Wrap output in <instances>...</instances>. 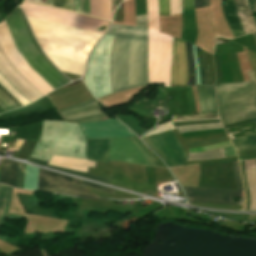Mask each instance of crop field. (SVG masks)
Masks as SVG:
<instances>
[{
    "label": "crop field",
    "mask_w": 256,
    "mask_h": 256,
    "mask_svg": "<svg viewBox=\"0 0 256 256\" xmlns=\"http://www.w3.org/2000/svg\"><path fill=\"white\" fill-rule=\"evenodd\" d=\"M251 11L256 12V0H247Z\"/></svg>",
    "instance_id": "obj_40"
},
{
    "label": "crop field",
    "mask_w": 256,
    "mask_h": 256,
    "mask_svg": "<svg viewBox=\"0 0 256 256\" xmlns=\"http://www.w3.org/2000/svg\"><path fill=\"white\" fill-rule=\"evenodd\" d=\"M222 127L221 123H212V124H198V125H188V126H179L177 127L180 132L201 130V129H210V128H219Z\"/></svg>",
    "instance_id": "obj_24"
},
{
    "label": "crop field",
    "mask_w": 256,
    "mask_h": 256,
    "mask_svg": "<svg viewBox=\"0 0 256 256\" xmlns=\"http://www.w3.org/2000/svg\"><path fill=\"white\" fill-rule=\"evenodd\" d=\"M237 151L256 149V132L239 138L232 139Z\"/></svg>",
    "instance_id": "obj_17"
},
{
    "label": "crop field",
    "mask_w": 256,
    "mask_h": 256,
    "mask_svg": "<svg viewBox=\"0 0 256 256\" xmlns=\"http://www.w3.org/2000/svg\"><path fill=\"white\" fill-rule=\"evenodd\" d=\"M86 138H119L135 136L114 119L80 124ZM108 160H123L149 165L146 158L130 138L110 139Z\"/></svg>",
    "instance_id": "obj_3"
},
{
    "label": "crop field",
    "mask_w": 256,
    "mask_h": 256,
    "mask_svg": "<svg viewBox=\"0 0 256 256\" xmlns=\"http://www.w3.org/2000/svg\"><path fill=\"white\" fill-rule=\"evenodd\" d=\"M197 52H198L199 64H200V80H201V84H205V73H204L202 53H201V50L198 48H197Z\"/></svg>",
    "instance_id": "obj_34"
},
{
    "label": "crop field",
    "mask_w": 256,
    "mask_h": 256,
    "mask_svg": "<svg viewBox=\"0 0 256 256\" xmlns=\"http://www.w3.org/2000/svg\"><path fill=\"white\" fill-rule=\"evenodd\" d=\"M24 165L18 163L16 187L22 189Z\"/></svg>",
    "instance_id": "obj_33"
},
{
    "label": "crop field",
    "mask_w": 256,
    "mask_h": 256,
    "mask_svg": "<svg viewBox=\"0 0 256 256\" xmlns=\"http://www.w3.org/2000/svg\"><path fill=\"white\" fill-rule=\"evenodd\" d=\"M253 120H254V122L256 123V118H254ZM255 125H256V124H255Z\"/></svg>",
    "instance_id": "obj_45"
},
{
    "label": "crop field",
    "mask_w": 256,
    "mask_h": 256,
    "mask_svg": "<svg viewBox=\"0 0 256 256\" xmlns=\"http://www.w3.org/2000/svg\"><path fill=\"white\" fill-rule=\"evenodd\" d=\"M110 30L148 34L147 14L136 16V27L112 24Z\"/></svg>",
    "instance_id": "obj_15"
},
{
    "label": "crop field",
    "mask_w": 256,
    "mask_h": 256,
    "mask_svg": "<svg viewBox=\"0 0 256 256\" xmlns=\"http://www.w3.org/2000/svg\"><path fill=\"white\" fill-rule=\"evenodd\" d=\"M29 161L34 162V163H37V164H39V165H43V166H46V165H47V162H43V161H40V160L31 158V157L29 158Z\"/></svg>",
    "instance_id": "obj_41"
},
{
    "label": "crop field",
    "mask_w": 256,
    "mask_h": 256,
    "mask_svg": "<svg viewBox=\"0 0 256 256\" xmlns=\"http://www.w3.org/2000/svg\"><path fill=\"white\" fill-rule=\"evenodd\" d=\"M235 179L238 190L205 187H183L189 202H205L219 204H243V190L237 161H233ZM232 197H239V202H232Z\"/></svg>",
    "instance_id": "obj_7"
},
{
    "label": "crop field",
    "mask_w": 256,
    "mask_h": 256,
    "mask_svg": "<svg viewBox=\"0 0 256 256\" xmlns=\"http://www.w3.org/2000/svg\"><path fill=\"white\" fill-rule=\"evenodd\" d=\"M92 15L110 20V0H91Z\"/></svg>",
    "instance_id": "obj_16"
},
{
    "label": "crop field",
    "mask_w": 256,
    "mask_h": 256,
    "mask_svg": "<svg viewBox=\"0 0 256 256\" xmlns=\"http://www.w3.org/2000/svg\"><path fill=\"white\" fill-rule=\"evenodd\" d=\"M82 185L93 187L111 195L115 192V189L76 180L39 168L37 190L82 197H98Z\"/></svg>",
    "instance_id": "obj_6"
},
{
    "label": "crop field",
    "mask_w": 256,
    "mask_h": 256,
    "mask_svg": "<svg viewBox=\"0 0 256 256\" xmlns=\"http://www.w3.org/2000/svg\"><path fill=\"white\" fill-rule=\"evenodd\" d=\"M194 8V0H184L183 10Z\"/></svg>",
    "instance_id": "obj_38"
},
{
    "label": "crop field",
    "mask_w": 256,
    "mask_h": 256,
    "mask_svg": "<svg viewBox=\"0 0 256 256\" xmlns=\"http://www.w3.org/2000/svg\"><path fill=\"white\" fill-rule=\"evenodd\" d=\"M53 6L73 11L72 0H53Z\"/></svg>",
    "instance_id": "obj_29"
},
{
    "label": "crop field",
    "mask_w": 256,
    "mask_h": 256,
    "mask_svg": "<svg viewBox=\"0 0 256 256\" xmlns=\"http://www.w3.org/2000/svg\"><path fill=\"white\" fill-rule=\"evenodd\" d=\"M191 44V43H190ZM186 43L187 63H188V86L195 85L194 58L191 45Z\"/></svg>",
    "instance_id": "obj_20"
},
{
    "label": "crop field",
    "mask_w": 256,
    "mask_h": 256,
    "mask_svg": "<svg viewBox=\"0 0 256 256\" xmlns=\"http://www.w3.org/2000/svg\"><path fill=\"white\" fill-rule=\"evenodd\" d=\"M169 129H173V126L170 124V122H168L166 124L159 125L156 130H154L153 132L149 133L148 135L157 134V133H160L162 131L169 130Z\"/></svg>",
    "instance_id": "obj_36"
},
{
    "label": "crop field",
    "mask_w": 256,
    "mask_h": 256,
    "mask_svg": "<svg viewBox=\"0 0 256 256\" xmlns=\"http://www.w3.org/2000/svg\"><path fill=\"white\" fill-rule=\"evenodd\" d=\"M222 7L234 37L244 35L245 33L237 14L234 0H222Z\"/></svg>",
    "instance_id": "obj_11"
},
{
    "label": "crop field",
    "mask_w": 256,
    "mask_h": 256,
    "mask_svg": "<svg viewBox=\"0 0 256 256\" xmlns=\"http://www.w3.org/2000/svg\"><path fill=\"white\" fill-rule=\"evenodd\" d=\"M238 14L240 16L245 33H251L256 30L251 15L248 11L245 0H235Z\"/></svg>",
    "instance_id": "obj_14"
},
{
    "label": "crop field",
    "mask_w": 256,
    "mask_h": 256,
    "mask_svg": "<svg viewBox=\"0 0 256 256\" xmlns=\"http://www.w3.org/2000/svg\"><path fill=\"white\" fill-rule=\"evenodd\" d=\"M131 139L137 145V147L141 150L144 156L147 158L150 165L160 166L159 163L156 161V159L153 157V155L150 153V151L145 147V145L137 137H133Z\"/></svg>",
    "instance_id": "obj_23"
},
{
    "label": "crop field",
    "mask_w": 256,
    "mask_h": 256,
    "mask_svg": "<svg viewBox=\"0 0 256 256\" xmlns=\"http://www.w3.org/2000/svg\"><path fill=\"white\" fill-rule=\"evenodd\" d=\"M159 15H170L169 0H158Z\"/></svg>",
    "instance_id": "obj_30"
},
{
    "label": "crop field",
    "mask_w": 256,
    "mask_h": 256,
    "mask_svg": "<svg viewBox=\"0 0 256 256\" xmlns=\"http://www.w3.org/2000/svg\"><path fill=\"white\" fill-rule=\"evenodd\" d=\"M62 118L78 123L98 121L106 117L94 99L59 110Z\"/></svg>",
    "instance_id": "obj_9"
},
{
    "label": "crop field",
    "mask_w": 256,
    "mask_h": 256,
    "mask_svg": "<svg viewBox=\"0 0 256 256\" xmlns=\"http://www.w3.org/2000/svg\"><path fill=\"white\" fill-rule=\"evenodd\" d=\"M196 88L201 113H216L212 84L198 85Z\"/></svg>",
    "instance_id": "obj_12"
},
{
    "label": "crop field",
    "mask_w": 256,
    "mask_h": 256,
    "mask_svg": "<svg viewBox=\"0 0 256 256\" xmlns=\"http://www.w3.org/2000/svg\"><path fill=\"white\" fill-rule=\"evenodd\" d=\"M87 158L107 162L109 139H87Z\"/></svg>",
    "instance_id": "obj_13"
},
{
    "label": "crop field",
    "mask_w": 256,
    "mask_h": 256,
    "mask_svg": "<svg viewBox=\"0 0 256 256\" xmlns=\"http://www.w3.org/2000/svg\"><path fill=\"white\" fill-rule=\"evenodd\" d=\"M14 43L29 66L37 72L54 89L68 83L41 56L33 45L19 10H15L6 20Z\"/></svg>",
    "instance_id": "obj_4"
},
{
    "label": "crop field",
    "mask_w": 256,
    "mask_h": 256,
    "mask_svg": "<svg viewBox=\"0 0 256 256\" xmlns=\"http://www.w3.org/2000/svg\"><path fill=\"white\" fill-rule=\"evenodd\" d=\"M8 167H9V161H5L2 159L1 163V174H0V183L7 185V179H8Z\"/></svg>",
    "instance_id": "obj_27"
},
{
    "label": "crop field",
    "mask_w": 256,
    "mask_h": 256,
    "mask_svg": "<svg viewBox=\"0 0 256 256\" xmlns=\"http://www.w3.org/2000/svg\"><path fill=\"white\" fill-rule=\"evenodd\" d=\"M0 54L1 56L5 59V61L8 63L10 68L13 70V72L21 78L33 91H35L40 97L44 96L33 84H31L17 69L16 67L12 64V62L9 60V58L5 55L3 52L1 45H0Z\"/></svg>",
    "instance_id": "obj_22"
},
{
    "label": "crop field",
    "mask_w": 256,
    "mask_h": 256,
    "mask_svg": "<svg viewBox=\"0 0 256 256\" xmlns=\"http://www.w3.org/2000/svg\"><path fill=\"white\" fill-rule=\"evenodd\" d=\"M253 34V36H254V38H255V40H256V35H254V33H252Z\"/></svg>",
    "instance_id": "obj_44"
},
{
    "label": "crop field",
    "mask_w": 256,
    "mask_h": 256,
    "mask_svg": "<svg viewBox=\"0 0 256 256\" xmlns=\"http://www.w3.org/2000/svg\"><path fill=\"white\" fill-rule=\"evenodd\" d=\"M209 4V0H195V8Z\"/></svg>",
    "instance_id": "obj_39"
},
{
    "label": "crop field",
    "mask_w": 256,
    "mask_h": 256,
    "mask_svg": "<svg viewBox=\"0 0 256 256\" xmlns=\"http://www.w3.org/2000/svg\"><path fill=\"white\" fill-rule=\"evenodd\" d=\"M171 86H187L185 42L173 40Z\"/></svg>",
    "instance_id": "obj_10"
},
{
    "label": "crop field",
    "mask_w": 256,
    "mask_h": 256,
    "mask_svg": "<svg viewBox=\"0 0 256 256\" xmlns=\"http://www.w3.org/2000/svg\"><path fill=\"white\" fill-rule=\"evenodd\" d=\"M0 106L9 111L22 105L0 85Z\"/></svg>",
    "instance_id": "obj_18"
},
{
    "label": "crop field",
    "mask_w": 256,
    "mask_h": 256,
    "mask_svg": "<svg viewBox=\"0 0 256 256\" xmlns=\"http://www.w3.org/2000/svg\"><path fill=\"white\" fill-rule=\"evenodd\" d=\"M248 73L251 82L215 85L223 125L256 117V78L252 71Z\"/></svg>",
    "instance_id": "obj_2"
},
{
    "label": "crop field",
    "mask_w": 256,
    "mask_h": 256,
    "mask_svg": "<svg viewBox=\"0 0 256 256\" xmlns=\"http://www.w3.org/2000/svg\"><path fill=\"white\" fill-rule=\"evenodd\" d=\"M142 140L164 160L168 167L182 165L187 160V154L173 130L142 137Z\"/></svg>",
    "instance_id": "obj_8"
},
{
    "label": "crop field",
    "mask_w": 256,
    "mask_h": 256,
    "mask_svg": "<svg viewBox=\"0 0 256 256\" xmlns=\"http://www.w3.org/2000/svg\"><path fill=\"white\" fill-rule=\"evenodd\" d=\"M190 157L188 160H201V159H211V158H220L224 157L222 149H217L213 151L200 152V153H192L189 154Z\"/></svg>",
    "instance_id": "obj_21"
},
{
    "label": "crop field",
    "mask_w": 256,
    "mask_h": 256,
    "mask_svg": "<svg viewBox=\"0 0 256 256\" xmlns=\"http://www.w3.org/2000/svg\"><path fill=\"white\" fill-rule=\"evenodd\" d=\"M227 145H231L230 140L224 141V142H220V143H217V144H213V145H209V146L190 148V149H188V151H189V153L200 152V151H206V150H211V149H216V148L224 147V146H227Z\"/></svg>",
    "instance_id": "obj_26"
},
{
    "label": "crop field",
    "mask_w": 256,
    "mask_h": 256,
    "mask_svg": "<svg viewBox=\"0 0 256 256\" xmlns=\"http://www.w3.org/2000/svg\"><path fill=\"white\" fill-rule=\"evenodd\" d=\"M230 139L235 138V137H239L245 134H249L252 132L256 131V125L254 122L252 123H248V124H244V125H240V126H236V127H232V128H227L226 129Z\"/></svg>",
    "instance_id": "obj_19"
},
{
    "label": "crop field",
    "mask_w": 256,
    "mask_h": 256,
    "mask_svg": "<svg viewBox=\"0 0 256 256\" xmlns=\"http://www.w3.org/2000/svg\"><path fill=\"white\" fill-rule=\"evenodd\" d=\"M211 119H218V118H211ZM211 119H197V120H211ZM182 121H195V120H182ZM174 122H180V121H174Z\"/></svg>",
    "instance_id": "obj_43"
},
{
    "label": "crop field",
    "mask_w": 256,
    "mask_h": 256,
    "mask_svg": "<svg viewBox=\"0 0 256 256\" xmlns=\"http://www.w3.org/2000/svg\"><path fill=\"white\" fill-rule=\"evenodd\" d=\"M17 163L10 161L8 185L15 187Z\"/></svg>",
    "instance_id": "obj_28"
},
{
    "label": "crop field",
    "mask_w": 256,
    "mask_h": 256,
    "mask_svg": "<svg viewBox=\"0 0 256 256\" xmlns=\"http://www.w3.org/2000/svg\"><path fill=\"white\" fill-rule=\"evenodd\" d=\"M7 186L0 185V216L3 212L5 200H6Z\"/></svg>",
    "instance_id": "obj_32"
},
{
    "label": "crop field",
    "mask_w": 256,
    "mask_h": 256,
    "mask_svg": "<svg viewBox=\"0 0 256 256\" xmlns=\"http://www.w3.org/2000/svg\"><path fill=\"white\" fill-rule=\"evenodd\" d=\"M25 15L104 34L108 21L24 2Z\"/></svg>",
    "instance_id": "obj_5"
},
{
    "label": "crop field",
    "mask_w": 256,
    "mask_h": 256,
    "mask_svg": "<svg viewBox=\"0 0 256 256\" xmlns=\"http://www.w3.org/2000/svg\"><path fill=\"white\" fill-rule=\"evenodd\" d=\"M113 1V12L115 10V7L120 3L122 2V0H112Z\"/></svg>",
    "instance_id": "obj_42"
},
{
    "label": "crop field",
    "mask_w": 256,
    "mask_h": 256,
    "mask_svg": "<svg viewBox=\"0 0 256 256\" xmlns=\"http://www.w3.org/2000/svg\"><path fill=\"white\" fill-rule=\"evenodd\" d=\"M247 53H248V56H249V59H250L251 65H252V69L256 75V53L248 48H247Z\"/></svg>",
    "instance_id": "obj_37"
},
{
    "label": "crop field",
    "mask_w": 256,
    "mask_h": 256,
    "mask_svg": "<svg viewBox=\"0 0 256 256\" xmlns=\"http://www.w3.org/2000/svg\"><path fill=\"white\" fill-rule=\"evenodd\" d=\"M11 192H12V188L8 187L7 201H6V205H5V209H4L3 215H2V217L0 219V226L3 224V222H4L5 218H6V215H7V211H8L9 205H10Z\"/></svg>",
    "instance_id": "obj_35"
},
{
    "label": "crop field",
    "mask_w": 256,
    "mask_h": 256,
    "mask_svg": "<svg viewBox=\"0 0 256 256\" xmlns=\"http://www.w3.org/2000/svg\"><path fill=\"white\" fill-rule=\"evenodd\" d=\"M172 120H181V119H195V118H204V117H217L213 114H196V115H187V116H171Z\"/></svg>",
    "instance_id": "obj_31"
},
{
    "label": "crop field",
    "mask_w": 256,
    "mask_h": 256,
    "mask_svg": "<svg viewBox=\"0 0 256 256\" xmlns=\"http://www.w3.org/2000/svg\"><path fill=\"white\" fill-rule=\"evenodd\" d=\"M47 167H51V168H54V169L62 170V171H65V172H69V173H72V174H76V175H79V176H83V177H86V178H90V179H94V180H97V181H101V182L110 184V181L105 180L103 178H100V177H98L96 175H93V174L76 172V171L67 170V169L54 167V166H50V165H47Z\"/></svg>",
    "instance_id": "obj_25"
},
{
    "label": "crop field",
    "mask_w": 256,
    "mask_h": 256,
    "mask_svg": "<svg viewBox=\"0 0 256 256\" xmlns=\"http://www.w3.org/2000/svg\"><path fill=\"white\" fill-rule=\"evenodd\" d=\"M149 24V85L170 86L172 37L159 33L157 0H147ZM115 34L110 76L112 93L148 85V35Z\"/></svg>",
    "instance_id": "obj_1"
}]
</instances>
